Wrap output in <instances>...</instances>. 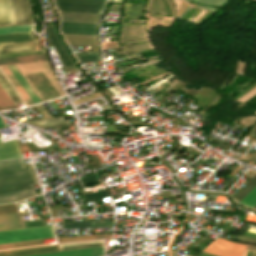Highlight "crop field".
Masks as SVG:
<instances>
[{"instance_id":"8a807250","label":"crop field","mask_w":256,"mask_h":256,"mask_svg":"<svg viewBox=\"0 0 256 256\" xmlns=\"http://www.w3.org/2000/svg\"><path fill=\"white\" fill-rule=\"evenodd\" d=\"M37 180L32 166L22 160L0 162V203L17 201L35 195Z\"/></svg>"},{"instance_id":"ac0d7876","label":"crop field","mask_w":256,"mask_h":256,"mask_svg":"<svg viewBox=\"0 0 256 256\" xmlns=\"http://www.w3.org/2000/svg\"><path fill=\"white\" fill-rule=\"evenodd\" d=\"M55 237L52 226L0 232V244Z\"/></svg>"},{"instance_id":"34b2d1b8","label":"crop field","mask_w":256,"mask_h":256,"mask_svg":"<svg viewBox=\"0 0 256 256\" xmlns=\"http://www.w3.org/2000/svg\"><path fill=\"white\" fill-rule=\"evenodd\" d=\"M34 40L30 32L0 35V43L20 42ZM35 50V41L0 44V53Z\"/></svg>"},{"instance_id":"412701ff","label":"crop field","mask_w":256,"mask_h":256,"mask_svg":"<svg viewBox=\"0 0 256 256\" xmlns=\"http://www.w3.org/2000/svg\"><path fill=\"white\" fill-rule=\"evenodd\" d=\"M59 10L101 13L107 0H56Z\"/></svg>"},{"instance_id":"f4fd0767","label":"crop field","mask_w":256,"mask_h":256,"mask_svg":"<svg viewBox=\"0 0 256 256\" xmlns=\"http://www.w3.org/2000/svg\"><path fill=\"white\" fill-rule=\"evenodd\" d=\"M245 246L243 244L232 243L224 239L217 238L203 252L218 256H243Z\"/></svg>"},{"instance_id":"dd49c442","label":"crop field","mask_w":256,"mask_h":256,"mask_svg":"<svg viewBox=\"0 0 256 256\" xmlns=\"http://www.w3.org/2000/svg\"><path fill=\"white\" fill-rule=\"evenodd\" d=\"M14 24L32 21L29 0H11Z\"/></svg>"},{"instance_id":"e52e79f7","label":"crop field","mask_w":256,"mask_h":256,"mask_svg":"<svg viewBox=\"0 0 256 256\" xmlns=\"http://www.w3.org/2000/svg\"><path fill=\"white\" fill-rule=\"evenodd\" d=\"M29 256H104L103 246Z\"/></svg>"},{"instance_id":"d8731c3e","label":"crop field","mask_w":256,"mask_h":256,"mask_svg":"<svg viewBox=\"0 0 256 256\" xmlns=\"http://www.w3.org/2000/svg\"><path fill=\"white\" fill-rule=\"evenodd\" d=\"M96 26L97 24L62 22L61 32L70 34L96 35Z\"/></svg>"},{"instance_id":"5a996713","label":"crop field","mask_w":256,"mask_h":256,"mask_svg":"<svg viewBox=\"0 0 256 256\" xmlns=\"http://www.w3.org/2000/svg\"><path fill=\"white\" fill-rule=\"evenodd\" d=\"M48 42L49 46L54 45V48L60 57L64 67L72 65L70 58L68 57L65 49L61 45L58 37L55 35L54 25L47 26Z\"/></svg>"},{"instance_id":"3316defc","label":"crop field","mask_w":256,"mask_h":256,"mask_svg":"<svg viewBox=\"0 0 256 256\" xmlns=\"http://www.w3.org/2000/svg\"><path fill=\"white\" fill-rule=\"evenodd\" d=\"M62 21L97 23L101 14L59 11Z\"/></svg>"},{"instance_id":"28ad6ade","label":"crop field","mask_w":256,"mask_h":256,"mask_svg":"<svg viewBox=\"0 0 256 256\" xmlns=\"http://www.w3.org/2000/svg\"><path fill=\"white\" fill-rule=\"evenodd\" d=\"M22 158L17 141L0 142V160Z\"/></svg>"},{"instance_id":"d1516ede","label":"crop field","mask_w":256,"mask_h":256,"mask_svg":"<svg viewBox=\"0 0 256 256\" xmlns=\"http://www.w3.org/2000/svg\"><path fill=\"white\" fill-rule=\"evenodd\" d=\"M59 251L57 245L0 252V256H18L42 252Z\"/></svg>"},{"instance_id":"22f410ed","label":"crop field","mask_w":256,"mask_h":256,"mask_svg":"<svg viewBox=\"0 0 256 256\" xmlns=\"http://www.w3.org/2000/svg\"><path fill=\"white\" fill-rule=\"evenodd\" d=\"M26 123L38 126L42 129L59 127L70 124L68 120H64L62 116L50 117L41 120L26 121Z\"/></svg>"},{"instance_id":"cbeb9de0","label":"crop field","mask_w":256,"mask_h":256,"mask_svg":"<svg viewBox=\"0 0 256 256\" xmlns=\"http://www.w3.org/2000/svg\"><path fill=\"white\" fill-rule=\"evenodd\" d=\"M23 228L18 213L0 215V231Z\"/></svg>"},{"instance_id":"5142ce71","label":"crop field","mask_w":256,"mask_h":256,"mask_svg":"<svg viewBox=\"0 0 256 256\" xmlns=\"http://www.w3.org/2000/svg\"><path fill=\"white\" fill-rule=\"evenodd\" d=\"M68 45L97 46L96 36L63 34Z\"/></svg>"},{"instance_id":"d9b57169","label":"crop field","mask_w":256,"mask_h":256,"mask_svg":"<svg viewBox=\"0 0 256 256\" xmlns=\"http://www.w3.org/2000/svg\"><path fill=\"white\" fill-rule=\"evenodd\" d=\"M7 68L10 70V72L13 74V76L16 78V80L34 102V104L41 102L37 95L34 93V91L31 89V87L28 85V83L25 81V79L22 77V75L19 73V71L16 69V67L7 66Z\"/></svg>"},{"instance_id":"733c2abd","label":"crop field","mask_w":256,"mask_h":256,"mask_svg":"<svg viewBox=\"0 0 256 256\" xmlns=\"http://www.w3.org/2000/svg\"><path fill=\"white\" fill-rule=\"evenodd\" d=\"M13 24L10 0H0V26Z\"/></svg>"},{"instance_id":"4a817a6b","label":"crop field","mask_w":256,"mask_h":256,"mask_svg":"<svg viewBox=\"0 0 256 256\" xmlns=\"http://www.w3.org/2000/svg\"><path fill=\"white\" fill-rule=\"evenodd\" d=\"M47 60L45 54L41 55H31V56H21V57H11V58H1L0 65L13 64V63H23V62H33V61H43Z\"/></svg>"},{"instance_id":"bc2a9ffb","label":"crop field","mask_w":256,"mask_h":256,"mask_svg":"<svg viewBox=\"0 0 256 256\" xmlns=\"http://www.w3.org/2000/svg\"><path fill=\"white\" fill-rule=\"evenodd\" d=\"M111 237V234H101V235H85V236H76V237H65L57 238L59 243L64 242H73V241H83V240H92V239H101Z\"/></svg>"},{"instance_id":"214f88e0","label":"crop field","mask_w":256,"mask_h":256,"mask_svg":"<svg viewBox=\"0 0 256 256\" xmlns=\"http://www.w3.org/2000/svg\"><path fill=\"white\" fill-rule=\"evenodd\" d=\"M99 245H103V240L65 244V245H58V246H59V250H67V249H75V248H82V247L99 246Z\"/></svg>"},{"instance_id":"92a150f3","label":"crop field","mask_w":256,"mask_h":256,"mask_svg":"<svg viewBox=\"0 0 256 256\" xmlns=\"http://www.w3.org/2000/svg\"><path fill=\"white\" fill-rule=\"evenodd\" d=\"M1 69L10 79V81L13 83V85L16 87V89L19 91V93L22 95V97L25 99L28 105H32L33 102L30 100V98L27 96V94L24 92V90L21 88V86L18 84V82L15 80V78L12 76V74L9 72L6 66H2Z\"/></svg>"},{"instance_id":"dafd665d","label":"crop field","mask_w":256,"mask_h":256,"mask_svg":"<svg viewBox=\"0 0 256 256\" xmlns=\"http://www.w3.org/2000/svg\"><path fill=\"white\" fill-rule=\"evenodd\" d=\"M256 185V175L233 197L236 202H240Z\"/></svg>"},{"instance_id":"00972430","label":"crop field","mask_w":256,"mask_h":256,"mask_svg":"<svg viewBox=\"0 0 256 256\" xmlns=\"http://www.w3.org/2000/svg\"><path fill=\"white\" fill-rule=\"evenodd\" d=\"M32 28H33V24L0 27V34L14 33V32H24V31H33Z\"/></svg>"},{"instance_id":"a9b5d70f","label":"crop field","mask_w":256,"mask_h":256,"mask_svg":"<svg viewBox=\"0 0 256 256\" xmlns=\"http://www.w3.org/2000/svg\"><path fill=\"white\" fill-rule=\"evenodd\" d=\"M46 244H48V243H46ZM36 245H44L43 240L21 242V243H12V244H3V245H0V250L11 249V248H19V247L36 246Z\"/></svg>"},{"instance_id":"4177f3b9","label":"crop field","mask_w":256,"mask_h":256,"mask_svg":"<svg viewBox=\"0 0 256 256\" xmlns=\"http://www.w3.org/2000/svg\"><path fill=\"white\" fill-rule=\"evenodd\" d=\"M13 108H16V106L12 103V101L0 86V110Z\"/></svg>"},{"instance_id":"730fd06b","label":"crop field","mask_w":256,"mask_h":256,"mask_svg":"<svg viewBox=\"0 0 256 256\" xmlns=\"http://www.w3.org/2000/svg\"><path fill=\"white\" fill-rule=\"evenodd\" d=\"M0 85L3 87V89L6 91V93L14 103L20 102V99L17 97V95L14 93V91L11 89V87L8 85V83L5 81V79L2 77L1 74H0Z\"/></svg>"},{"instance_id":"eef30255","label":"crop field","mask_w":256,"mask_h":256,"mask_svg":"<svg viewBox=\"0 0 256 256\" xmlns=\"http://www.w3.org/2000/svg\"><path fill=\"white\" fill-rule=\"evenodd\" d=\"M240 204L254 207L256 205V186L253 190L240 202Z\"/></svg>"},{"instance_id":"ae1a2a85","label":"crop field","mask_w":256,"mask_h":256,"mask_svg":"<svg viewBox=\"0 0 256 256\" xmlns=\"http://www.w3.org/2000/svg\"><path fill=\"white\" fill-rule=\"evenodd\" d=\"M108 196H110V195H109L107 189L103 190V191H99V192L83 194V197L86 199L87 202L92 201L91 200L92 198H93V200H95V199L104 198V197H108Z\"/></svg>"},{"instance_id":"d3111659","label":"crop field","mask_w":256,"mask_h":256,"mask_svg":"<svg viewBox=\"0 0 256 256\" xmlns=\"http://www.w3.org/2000/svg\"><path fill=\"white\" fill-rule=\"evenodd\" d=\"M14 212H18L15 204L0 206V214L14 213Z\"/></svg>"},{"instance_id":"750c4746","label":"crop field","mask_w":256,"mask_h":256,"mask_svg":"<svg viewBox=\"0 0 256 256\" xmlns=\"http://www.w3.org/2000/svg\"><path fill=\"white\" fill-rule=\"evenodd\" d=\"M41 53H45L44 50H40V51H31V52H21V53H11V54H1V57H11V56H21V55H31V54H41Z\"/></svg>"},{"instance_id":"bd1437ed","label":"crop field","mask_w":256,"mask_h":256,"mask_svg":"<svg viewBox=\"0 0 256 256\" xmlns=\"http://www.w3.org/2000/svg\"><path fill=\"white\" fill-rule=\"evenodd\" d=\"M91 176L89 177H85L81 179V182L83 184V186L86 185H90V184H94V183H98L97 178L95 177L94 173L90 174ZM100 182V181H99Z\"/></svg>"},{"instance_id":"1d83c4d3","label":"crop field","mask_w":256,"mask_h":256,"mask_svg":"<svg viewBox=\"0 0 256 256\" xmlns=\"http://www.w3.org/2000/svg\"><path fill=\"white\" fill-rule=\"evenodd\" d=\"M23 223H24L25 228L46 225L44 220L26 221V222H23Z\"/></svg>"},{"instance_id":"120bbe31","label":"crop field","mask_w":256,"mask_h":256,"mask_svg":"<svg viewBox=\"0 0 256 256\" xmlns=\"http://www.w3.org/2000/svg\"><path fill=\"white\" fill-rule=\"evenodd\" d=\"M78 62H86V61H97L101 59L100 55H94V56H82V57H76Z\"/></svg>"},{"instance_id":"d32e631a","label":"crop field","mask_w":256,"mask_h":256,"mask_svg":"<svg viewBox=\"0 0 256 256\" xmlns=\"http://www.w3.org/2000/svg\"><path fill=\"white\" fill-rule=\"evenodd\" d=\"M37 109L42 113L44 117L50 116L49 113L46 111V109L43 107L42 104L36 105Z\"/></svg>"},{"instance_id":"5866460e","label":"crop field","mask_w":256,"mask_h":256,"mask_svg":"<svg viewBox=\"0 0 256 256\" xmlns=\"http://www.w3.org/2000/svg\"><path fill=\"white\" fill-rule=\"evenodd\" d=\"M4 127H6V126H5L4 122L0 119V128H4Z\"/></svg>"},{"instance_id":"028f5c9d","label":"crop field","mask_w":256,"mask_h":256,"mask_svg":"<svg viewBox=\"0 0 256 256\" xmlns=\"http://www.w3.org/2000/svg\"><path fill=\"white\" fill-rule=\"evenodd\" d=\"M51 103L53 104V106H54L57 110H60V108L54 103V101H51Z\"/></svg>"},{"instance_id":"e1f06a70","label":"crop field","mask_w":256,"mask_h":256,"mask_svg":"<svg viewBox=\"0 0 256 256\" xmlns=\"http://www.w3.org/2000/svg\"><path fill=\"white\" fill-rule=\"evenodd\" d=\"M251 256H256V252L252 251V255Z\"/></svg>"},{"instance_id":"0bd39190","label":"crop field","mask_w":256,"mask_h":256,"mask_svg":"<svg viewBox=\"0 0 256 256\" xmlns=\"http://www.w3.org/2000/svg\"><path fill=\"white\" fill-rule=\"evenodd\" d=\"M254 208L256 209V206Z\"/></svg>"},{"instance_id":"b80d0937","label":"crop field","mask_w":256,"mask_h":256,"mask_svg":"<svg viewBox=\"0 0 256 256\" xmlns=\"http://www.w3.org/2000/svg\"><path fill=\"white\" fill-rule=\"evenodd\" d=\"M1 137V136H0Z\"/></svg>"}]
</instances>
